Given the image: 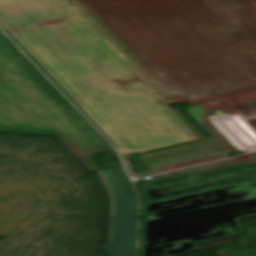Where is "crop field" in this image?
Segmentation results:
<instances>
[{"label":"crop field","mask_w":256,"mask_h":256,"mask_svg":"<svg viewBox=\"0 0 256 256\" xmlns=\"http://www.w3.org/2000/svg\"><path fill=\"white\" fill-rule=\"evenodd\" d=\"M0 26L122 154L203 138L66 0H0Z\"/></svg>","instance_id":"8a807250"},{"label":"crop field","mask_w":256,"mask_h":256,"mask_svg":"<svg viewBox=\"0 0 256 256\" xmlns=\"http://www.w3.org/2000/svg\"><path fill=\"white\" fill-rule=\"evenodd\" d=\"M111 200L110 256H135L137 196L122 167L98 172Z\"/></svg>","instance_id":"ac0d7876"},{"label":"crop field","mask_w":256,"mask_h":256,"mask_svg":"<svg viewBox=\"0 0 256 256\" xmlns=\"http://www.w3.org/2000/svg\"><path fill=\"white\" fill-rule=\"evenodd\" d=\"M0 73L80 156L98 152L1 51Z\"/></svg>","instance_id":"34b2d1b8"}]
</instances>
